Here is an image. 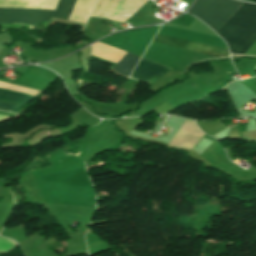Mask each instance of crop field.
<instances>
[{
    "label": "crop field",
    "instance_id": "crop-field-6",
    "mask_svg": "<svg viewBox=\"0 0 256 256\" xmlns=\"http://www.w3.org/2000/svg\"><path fill=\"white\" fill-rule=\"evenodd\" d=\"M138 60L139 57L126 52L112 68V71L127 77L131 73Z\"/></svg>",
    "mask_w": 256,
    "mask_h": 256
},
{
    "label": "crop field",
    "instance_id": "crop-field-4",
    "mask_svg": "<svg viewBox=\"0 0 256 256\" xmlns=\"http://www.w3.org/2000/svg\"><path fill=\"white\" fill-rule=\"evenodd\" d=\"M54 10L0 8V23L19 22L28 25L49 20Z\"/></svg>",
    "mask_w": 256,
    "mask_h": 256
},
{
    "label": "crop field",
    "instance_id": "crop-field-9",
    "mask_svg": "<svg viewBox=\"0 0 256 256\" xmlns=\"http://www.w3.org/2000/svg\"><path fill=\"white\" fill-rule=\"evenodd\" d=\"M247 1H251V0H247Z\"/></svg>",
    "mask_w": 256,
    "mask_h": 256
},
{
    "label": "crop field",
    "instance_id": "crop-field-1",
    "mask_svg": "<svg viewBox=\"0 0 256 256\" xmlns=\"http://www.w3.org/2000/svg\"><path fill=\"white\" fill-rule=\"evenodd\" d=\"M217 33L230 53L244 54L256 40V5L244 3Z\"/></svg>",
    "mask_w": 256,
    "mask_h": 256
},
{
    "label": "crop field",
    "instance_id": "crop-field-3",
    "mask_svg": "<svg viewBox=\"0 0 256 256\" xmlns=\"http://www.w3.org/2000/svg\"><path fill=\"white\" fill-rule=\"evenodd\" d=\"M153 40L214 58L229 56L228 50L225 48L168 36L160 33H157Z\"/></svg>",
    "mask_w": 256,
    "mask_h": 256
},
{
    "label": "crop field",
    "instance_id": "crop-field-7",
    "mask_svg": "<svg viewBox=\"0 0 256 256\" xmlns=\"http://www.w3.org/2000/svg\"><path fill=\"white\" fill-rule=\"evenodd\" d=\"M0 96L9 98V99L22 101V102H27L28 100H30V98H27V97H24L21 95L7 93V92H1V91H0ZM21 105H23V103L0 99V110L13 112L16 108H18Z\"/></svg>",
    "mask_w": 256,
    "mask_h": 256
},
{
    "label": "crop field",
    "instance_id": "crop-field-2",
    "mask_svg": "<svg viewBox=\"0 0 256 256\" xmlns=\"http://www.w3.org/2000/svg\"><path fill=\"white\" fill-rule=\"evenodd\" d=\"M242 4L232 0H197L187 12L217 32Z\"/></svg>",
    "mask_w": 256,
    "mask_h": 256
},
{
    "label": "crop field",
    "instance_id": "crop-field-8",
    "mask_svg": "<svg viewBox=\"0 0 256 256\" xmlns=\"http://www.w3.org/2000/svg\"><path fill=\"white\" fill-rule=\"evenodd\" d=\"M77 0H59L52 17L69 20Z\"/></svg>",
    "mask_w": 256,
    "mask_h": 256
},
{
    "label": "crop field",
    "instance_id": "crop-field-5",
    "mask_svg": "<svg viewBox=\"0 0 256 256\" xmlns=\"http://www.w3.org/2000/svg\"><path fill=\"white\" fill-rule=\"evenodd\" d=\"M169 70L171 69L168 67L141 58L130 77L150 83L165 75Z\"/></svg>",
    "mask_w": 256,
    "mask_h": 256
}]
</instances>
